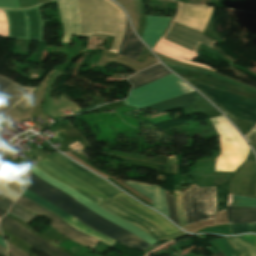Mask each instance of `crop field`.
Listing matches in <instances>:
<instances>
[{
  "instance_id": "028f5c9d",
  "label": "crop field",
  "mask_w": 256,
  "mask_h": 256,
  "mask_svg": "<svg viewBox=\"0 0 256 256\" xmlns=\"http://www.w3.org/2000/svg\"><path fill=\"white\" fill-rule=\"evenodd\" d=\"M10 83H11V81L0 77V92H1L3 89H5Z\"/></svg>"
},
{
  "instance_id": "34b2d1b8",
  "label": "crop field",
  "mask_w": 256,
  "mask_h": 256,
  "mask_svg": "<svg viewBox=\"0 0 256 256\" xmlns=\"http://www.w3.org/2000/svg\"><path fill=\"white\" fill-rule=\"evenodd\" d=\"M191 91L193 89L170 74L158 81L132 90L130 96L123 102L126 105L141 108Z\"/></svg>"
},
{
  "instance_id": "c035e120",
  "label": "crop field",
  "mask_w": 256,
  "mask_h": 256,
  "mask_svg": "<svg viewBox=\"0 0 256 256\" xmlns=\"http://www.w3.org/2000/svg\"><path fill=\"white\" fill-rule=\"evenodd\" d=\"M0 244L3 246V247H5L6 248V246H5V244H4V242H3V240H2V238L0 237Z\"/></svg>"
},
{
  "instance_id": "dafd665d",
  "label": "crop field",
  "mask_w": 256,
  "mask_h": 256,
  "mask_svg": "<svg viewBox=\"0 0 256 256\" xmlns=\"http://www.w3.org/2000/svg\"><path fill=\"white\" fill-rule=\"evenodd\" d=\"M229 241L236 250L242 253L241 256H256V236L243 235L229 238Z\"/></svg>"
},
{
  "instance_id": "120bbe31",
  "label": "crop field",
  "mask_w": 256,
  "mask_h": 256,
  "mask_svg": "<svg viewBox=\"0 0 256 256\" xmlns=\"http://www.w3.org/2000/svg\"><path fill=\"white\" fill-rule=\"evenodd\" d=\"M0 35L7 37V21L4 12H0Z\"/></svg>"
},
{
  "instance_id": "8a807250",
  "label": "crop field",
  "mask_w": 256,
  "mask_h": 256,
  "mask_svg": "<svg viewBox=\"0 0 256 256\" xmlns=\"http://www.w3.org/2000/svg\"><path fill=\"white\" fill-rule=\"evenodd\" d=\"M27 189L56 205L86 226L119 241L128 247L145 250L152 246L135 235L91 212L75 199L39 180L33 174H31L30 183Z\"/></svg>"
},
{
  "instance_id": "00972430",
  "label": "crop field",
  "mask_w": 256,
  "mask_h": 256,
  "mask_svg": "<svg viewBox=\"0 0 256 256\" xmlns=\"http://www.w3.org/2000/svg\"><path fill=\"white\" fill-rule=\"evenodd\" d=\"M22 196H24V197L34 201L35 203L39 204L43 208L47 209L48 211L56 214L57 216H59V217H61L63 219H66V218L70 217V215H68L67 213L63 212L62 210H60L56 206L52 205L48 201L44 200L43 198L37 196L36 194L32 193L31 191H29L27 189L23 193Z\"/></svg>"
},
{
  "instance_id": "d1516ede",
  "label": "crop field",
  "mask_w": 256,
  "mask_h": 256,
  "mask_svg": "<svg viewBox=\"0 0 256 256\" xmlns=\"http://www.w3.org/2000/svg\"><path fill=\"white\" fill-rule=\"evenodd\" d=\"M111 199L116 201L121 206L149 219L167 234L179 231L176 227L170 224L163 216L142 206L141 204H139L138 202H136L135 200L121 192Z\"/></svg>"
},
{
  "instance_id": "cbeb9de0",
  "label": "crop field",
  "mask_w": 256,
  "mask_h": 256,
  "mask_svg": "<svg viewBox=\"0 0 256 256\" xmlns=\"http://www.w3.org/2000/svg\"><path fill=\"white\" fill-rule=\"evenodd\" d=\"M153 51L160 53L162 55H165L174 60L180 61V62H184V63H188V64H192V65H196V66H199L202 68H207V69L216 71L210 67L183 60V58L191 60L193 57H195L197 55V53L189 51V50L182 48L176 44L166 41L162 38H160L159 42L153 48Z\"/></svg>"
},
{
  "instance_id": "b80d0937",
  "label": "crop field",
  "mask_w": 256,
  "mask_h": 256,
  "mask_svg": "<svg viewBox=\"0 0 256 256\" xmlns=\"http://www.w3.org/2000/svg\"><path fill=\"white\" fill-rule=\"evenodd\" d=\"M13 172H15L17 175H19L21 178H23L25 181H28L26 178H24L22 175H20L19 173H17L16 171L13 170ZM14 173V174H15Z\"/></svg>"
},
{
  "instance_id": "ae1a2a85",
  "label": "crop field",
  "mask_w": 256,
  "mask_h": 256,
  "mask_svg": "<svg viewBox=\"0 0 256 256\" xmlns=\"http://www.w3.org/2000/svg\"><path fill=\"white\" fill-rule=\"evenodd\" d=\"M173 196H174V201L176 205L180 227L185 226L186 223H185L184 213H183L182 204H181L180 192H174Z\"/></svg>"
},
{
  "instance_id": "d32e631a",
  "label": "crop field",
  "mask_w": 256,
  "mask_h": 256,
  "mask_svg": "<svg viewBox=\"0 0 256 256\" xmlns=\"http://www.w3.org/2000/svg\"><path fill=\"white\" fill-rule=\"evenodd\" d=\"M164 63H165V64H167V65H170V66L176 67V68L184 69V70L197 71V70H193V69H189V68L177 67V66H174V65L169 64V63H166V62H164ZM197 72H201V71H197ZM201 73H204V74H207V75H210V76H213V77H216V78H219V79L225 80V81H227V82H229V83H232V84H235V85H237V86H240V87H243V88H245V89H248V90H251V91L256 92L255 90H252V89H250V88L244 87V86H242V85H239V84H237V83L231 82V81H229V80H226V79L220 78V77H218V76H215V75H212V74H209V73H205V72H201Z\"/></svg>"
},
{
  "instance_id": "eef30255",
  "label": "crop field",
  "mask_w": 256,
  "mask_h": 256,
  "mask_svg": "<svg viewBox=\"0 0 256 256\" xmlns=\"http://www.w3.org/2000/svg\"><path fill=\"white\" fill-rule=\"evenodd\" d=\"M231 234L256 232V224L229 225Z\"/></svg>"
},
{
  "instance_id": "730fd06b",
  "label": "crop field",
  "mask_w": 256,
  "mask_h": 256,
  "mask_svg": "<svg viewBox=\"0 0 256 256\" xmlns=\"http://www.w3.org/2000/svg\"><path fill=\"white\" fill-rule=\"evenodd\" d=\"M181 198H182V204H183L187 224L188 225L192 224L193 220H192V212H191V204H190V190L181 194Z\"/></svg>"
},
{
  "instance_id": "1d83c4d3",
  "label": "crop field",
  "mask_w": 256,
  "mask_h": 256,
  "mask_svg": "<svg viewBox=\"0 0 256 256\" xmlns=\"http://www.w3.org/2000/svg\"><path fill=\"white\" fill-rule=\"evenodd\" d=\"M6 243L8 246V256H28L27 254L19 250L17 247L10 244L9 242L6 241Z\"/></svg>"
},
{
  "instance_id": "750c4746",
  "label": "crop field",
  "mask_w": 256,
  "mask_h": 256,
  "mask_svg": "<svg viewBox=\"0 0 256 256\" xmlns=\"http://www.w3.org/2000/svg\"><path fill=\"white\" fill-rule=\"evenodd\" d=\"M165 194H166V201H167V205H168V209H169V213H170V219L178 224V219H177L176 210H175L172 195H169L168 190L165 191Z\"/></svg>"
},
{
  "instance_id": "22f410ed",
  "label": "crop field",
  "mask_w": 256,
  "mask_h": 256,
  "mask_svg": "<svg viewBox=\"0 0 256 256\" xmlns=\"http://www.w3.org/2000/svg\"><path fill=\"white\" fill-rule=\"evenodd\" d=\"M0 225L6 228L7 230H9L10 232H12L13 234H15L17 237H19L23 241L47 253L48 256H69L63 253L62 251L48 245L43 240L39 239L38 237L30 233L22 225L16 223L15 221L11 220L6 216L1 219Z\"/></svg>"
},
{
  "instance_id": "bc2a9ffb",
  "label": "crop field",
  "mask_w": 256,
  "mask_h": 256,
  "mask_svg": "<svg viewBox=\"0 0 256 256\" xmlns=\"http://www.w3.org/2000/svg\"><path fill=\"white\" fill-rule=\"evenodd\" d=\"M202 97L198 95L195 91L185 94L183 96L173 98L161 103H157L148 107H144L143 109H149L153 108L155 110L165 112L173 109H178V108H184L188 107L191 105H195L193 101L201 99Z\"/></svg>"
},
{
  "instance_id": "d9b57169",
  "label": "crop field",
  "mask_w": 256,
  "mask_h": 256,
  "mask_svg": "<svg viewBox=\"0 0 256 256\" xmlns=\"http://www.w3.org/2000/svg\"><path fill=\"white\" fill-rule=\"evenodd\" d=\"M170 20L171 18L167 17L146 16V24L142 38L151 49L163 33Z\"/></svg>"
},
{
  "instance_id": "d3111659",
  "label": "crop field",
  "mask_w": 256,
  "mask_h": 256,
  "mask_svg": "<svg viewBox=\"0 0 256 256\" xmlns=\"http://www.w3.org/2000/svg\"><path fill=\"white\" fill-rule=\"evenodd\" d=\"M215 243L218 245L225 256H238L227 239L215 240Z\"/></svg>"
},
{
  "instance_id": "3316defc",
  "label": "crop field",
  "mask_w": 256,
  "mask_h": 256,
  "mask_svg": "<svg viewBox=\"0 0 256 256\" xmlns=\"http://www.w3.org/2000/svg\"><path fill=\"white\" fill-rule=\"evenodd\" d=\"M162 38L196 51L200 44L212 47L216 42L182 26L170 23Z\"/></svg>"
},
{
  "instance_id": "214f88e0",
  "label": "crop field",
  "mask_w": 256,
  "mask_h": 256,
  "mask_svg": "<svg viewBox=\"0 0 256 256\" xmlns=\"http://www.w3.org/2000/svg\"><path fill=\"white\" fill-rule=\"evenodd\" d=\"M170 73L160 63L132 76L127 80L133 85V88H137L141 85L154 81L166 74Z\"/></svg>"
},
{
  "instance_id": "28ad6ade",
  "label": "crop field",
  "mask_w": 256,
  "mask_h": 256,
  "mask_svg": "<svg viewBox=\"0 0 256 256\" xmlns=\"http://www.w3.org/2000/svg\"><path fill=\"white\" fill-rule=\"evenodd\" d=\"M102 208L106 209L107 211L131 222L132 224L136 225L137 227L146 231L149 235H151L157 241L167 234L164 233L160 228L156 225L148 221L147 219L121 207L113 200H108L105 203L100 205Z\"/></svg>"
},
{
  "instance_id": "4177f3b9",
  "label": "crop field",
  "mask_w": 256,
  "mask_h": 256,
  "mask_svg": "<svg viewBox=\"0 0 256 256\" xmlns=\"http://www.w3.org/2000/svg\"><path fill=\"white\" fill-rule=\"evenodd\" d=\"M9 213L17 216L18 218H20L21 220H23L26 223L36 217L34 214L30 213L29 211L25 210L24 208L20 207L17 204H14L12 206Z\"/></svg>"
},
{
  "instance_id": "f4fd0767",
  "label": "crop field",
  "mask_w": 256,
  "mask_h": 256,
  "mask_svg": "<svg viewBox=\"0 0 256 256\" xmlns=\"http://www.w3.org/2000/svg\"><path fill=\"white\" fill-rule=\"evenodd\" d=\"M38 168L43 170L49 176L71 186L72 188L76 189L80 193H82L87 198L94 201L96 204H101L104 201L110 199L89 184L81 181L80 179L74 177L73 175L69 174L56 164H54L49 159L45 158L38 163H35Z\"/></svg>"
},
{
  "instance_id": "412701ff",
  "label": "crop field",
  "mask_w": 256,
  "mask_h": 256,
  "mask_svg": "<svg viewBox=\"0 0 256 256\" xmlns=\"http://www.w3.org/2000/svg\"><path fill=\"white\" fill-rule=\"evenodd\" d=\"M223 112L256 125V102L185 79Z\"/></svg>"
},
{
  "instance_id": "5a996713",
  "label": "crop field",
  "mask_w": 256,
  "mask_h": 256,
  "mask_svg": "<svg viewBox=\"0 0 256 256\" xmlns=\"http://www.w3.org/2000/svg\"><path fill=\"white\" fill-rule=\"evenodd\" d=\"M191 204L194 223L213 219L214 187L197 188V185H191Z\"/></svg>"
},
{
  "instance_id": "4a817a6b",
  "label": "crop field",
  "mask_w": 256,
  "mask_h": 256,
  "mask_svg": "<svg viewBox=\"0 0 256 256\" xmlns=\"http://www.w3.org/2000/svg\"><path fill=\"white\" fill-rule=\"evenodd\" d=\"M144 47L145 46L142 44V42L136 37V35L131 30L126 19L125 34L123 36L118 54H122L137 60Z\"/></svg>"
},
{
  "instance_id": "c21b1889",
  "label": "crop field",
  "mask_w": 256,
  "mask_h": 256,
  "mask_svg": "<svg viewBox=\"0 0 256 256\" xmlns=\"http://www.w3.org/2000/svg\"><path fill=\"white\" fill-rule=\"evenodd\" d=\"M5 214H6V212H4V211H2V210L0 209V217L4 216Z\"/></svg>"
},
{
  "instance_id": "bd1437ed",
  "label": "crop field",
  "mask_w": 256,
  "mask_h": 256,
  "mask_svg": "<svg viewBox=\"0 0 256 256\" xmlns=\"http://www.w3.org/2000/svg\"><path fill=\"white\" fill-rule=\"evenodd\" d=\"M33 99H34V92L32 91L24 99H22L18 104H16L15 107L24 111L29 105H31Z\"/></svg>"
},
{
  "instance_id": "dd49c442",
  "label": "crop field",
  "mask_w": 256,
  "mask_h": 256,
  "mask_svg": "<svg viewBox=\"0 0 256 256\" xmlns=\"http://www.w3.org/2000/svg\"><path fill=\"white\" fill-rule=\"evenodd\" d=\"M18 204H20L21 206L25 207L26 209H28L29 211L37 214V215H45L46 217H48L49 219L52 220L51 226L58 232H60L61 234H63L64 236L79 242L85 246H88L90 248H92L93 246H95L97 243H99V241L81 233L78 232L74 229H72L70 226H68L66 223H64L62 221L61 218L55 216L54 214L48 212L47 210L43 209L42 207H40L39 205L35 204L34 202L24 198V197H20L19 200L16 202Z\"/></svg>"
},
{
  "instance_id": "03da06ac",
  "label": "crop field",
  "mask_w": 256,
  "mask_h": 256,
  "mask_svg": "<svg viewBox=\"0 0 256 256\" xmlns=\"http://www.w3.org/2000/svg\"><path fill=\"white\" fill-rule=\"evenodd\" d=\"M215 256H224L221 251L219 253H217Z\"/></svg>"
},
{
  "instance_id": "ac0d7876",
  "label": "crop field",
  "mask_w": 256,
  "mask_h": 256,
  "mask_svg": "<svg viewBox=\"0 0 256 256\" xmlns=\"http://www.w3.org/2000/svg\"><path fill=\"white\" fill-rule=\"evenodd\" d=\"M81 31L80 36L88 34L115 37L109 51L117 52L125 29L122 9L110 0H77Z\"/></svg>"
},
{
  "instance_id": "5142ce71",
  "label": "crop field",
  "mask_w": 256,
  "mask_h": 256,
  "mask_svg": "<svg viewBox=\"0 0 256 256\" xmlns=\"http://www.w3.org/2000/svg\"><path fill=\"white\" fill-rule=\"evenodd\" d=\"M125 183L150 198L153 203V207L169 217L165 202L164 190L161 187L157 185H146L131 181H127Z\"/></svg>"
},
{
  "instance_id": "5866460e",
  "label": "crop field",
  "mask_w": 256,
  "mask_h": 256,
  "mask_svg": "<svg viewBox=\"0 0 256 256\" xmlns=\"http://www.w3.org/2000/svg\"><path fill=\"white\" fill-rule=\"evenodd\" d=\"M12 201V200H11ZM10 200H8L7 198H5L4 196H2L0 194V208H2L3 210H5L7 212V210L9 209V207L11 206V204L13 202H11Z\"/></svg>"
},
{
  "instance_id": "733c2abd",
  "label": "crop field",
  "mask_w": 256,
  "mask_h": 256,
  "mask_svg": "<svg viewBox=\"0 0 256 256\" xmlns=\"http://www.w3.org/2000/svg\"><path fill=\"white\" fill-rule=\"evenodd\" d=\"M32 89L33 88L30 87H22L14 82L10 84L0 93V115L17 103Z\"/></svg>"
},
{
  "instance_id": "92a150f3",
  "label": "crop field",
  "mask_w": 256,
  "mask_h": 256,
  "mask_svg": "<svg viewBox=\"0 0 256 256\" xmlns=\"http://www.w3.org/2000/svg\"><path fill=\"white\" fill-rule=\"evenodd\" d=\"M229 224L256 223V208L228 207Z\"/></svg>"
},
{
  "instance_id": "a9b5d70f",
  "label": "crop field",
  "mask_w": 256,
  "mask_h": 256,
  "mask_svg": "<svg viewBox=\"0 0 256 256\" xmlns=\"http://www.w3.org/2000/svg\"><path fill=\"white\" fill-rule=\"evenodd\" d=\"M228 206L256 207V200L229 195Z\"/></svg>"
},
{
  "instance_id": "e52e79f7",
  "label": "crop field",
  "mask_w": 256,
  "mask_h": 256,
  "mask_svg": "<svg viewBox=\"0 0 256 256\" xmlns=\"http://www.w3.org/2000/svg\"><path fill=\"white\" fill-rule=\"evenodd\" d=\"M50 160L55 162L57 165L68 171L69 173L75 175L76 177L80 178L81 180L89 183L108 197H113L117 193H119V190L102 180L101 178L95 176L90 171L78 166L77 164L70 161L68 158L64 157L63 155L57 153H54L50 155Z\"/></svg>"
},
{
  "instance_id": "e1f06a70",
  "label": "crop field",
  "mask_w": 256,
  "mask_h": 256,
  "mask_svg": "<svg viewBox=\"0 0 256 256\" xmlns=\"http://www.w3.org/2000/svg\"><path fill=\"white\" fill-rule=\"evenodd\" d=\"M167 164H177L175 156H169Z\"/></svg>"
},
{
  "instance_id": "0bd39190",
  "label": "crop field",
  "mask_w": 256,
  "mask_h": 256,
  "mask_svg": "<svg viewBox=\"0 0 256 256\" xmlns=\"http://www.w3.org/2000/svg\"><path fill=\"white\" fill-rule=\"evenodd\" d=\"M5 252H6V249L3 248L2 246H0V255L3 256L5 254Z\"/></svg>"
},
{
  "instance_id": "d8731c3e",
  "label": "crop field",
  "mask_w": 256,
  "mask_h": 256,
  "mask_svg": "<svg viewBox=\"0 0 256 256\" xmlns=\"http://www.w3.org/2000/svg\"><path fill=\"white\" fill-rule=\"evenodd\" d=\"M213 9L178 3L172 22L193 28L202 33Z\"/></svg>"
}]
</instances>
